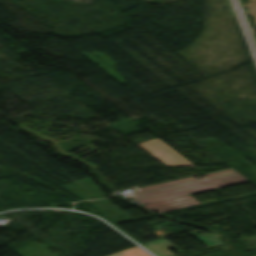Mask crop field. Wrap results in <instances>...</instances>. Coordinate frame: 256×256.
<instances>
[{
	"mask_svg": "<svg viewBox=\"0 0 256 256\" xmlns=\"http://www.w3.org/2000/svg\"><path fill=\"white\" fill-rule=\"evenodd\" d=\"M206 178L195 180L193 177L142 187L129 194L141 204L152 203L186 194L206 191L233 184L248 182L234 169L204 174Z\"/></svg>",
	"mask_w": 256,
	"mask_h": 256,
	"instance_id": "1",
	"label": "crop field"
},
{
	"mask_svg": "<svg viewBox=\"0 0 256 256\" xmlns=\"http://www.w3.org/2000/svg\"><path fill=\"white\" fill-rule=\"evenodd\" d=\"M141 148L156 158L165 166H188L193 165L175 150L170 148L160 139H152L145 142L137 143Z\"/></svg>",
	"mask_w": 256,
	"mask_h": 256,
	"instance_id": "2",
	"label": "crop field"
},
{
	"mask_svg": "<svg viewBox=\"0 0 256 256\" xmlns=\"http://www.w3.org/2000/svg\"><path fill=\"white\" fill-rule=\"evenodd\" d=\"M186 198H190L191 200L182 201V203H185V204L179 205L180 200L186 199ZM188 201H191V202H188ZM198 204L199 203L196 202L192 197H190L189 195H186L178 198H173V199H169L161 202L144 205L143 207L148 208L155 212H164V211L179 209V208L198 205Z\"/></svg>",
	"mask_w": 256,
	"mask_h": 256,
	"instance_id": "3",
	"label": "crop field"
},
{
	"mask_svg": "<svg viewBox=\"0 0 256 256\" xmlns=\"http://www.w3.org/2000/svg\"><path fill=\"white\" fill-rule=\"evenodd\" d=\"M220 235L211 233V234H201V235H193L192 237L199 240L204 245H212L216 243H221V241L218 239Z\"/></svg>",
	"mask_w": 256,
	"mask_h": 256,
	"instance_id": "4",
	"label": "crop field"
},
{
	"mask_svg": "<svg viewBox=\"0 0 256 256\" xmlns=\"http://www.w3.org/2000/svg\"><path fill=\"white\" fill-rule=\"evenodd\" d=\"M108 256H151L140 247L136 246Z\"/></svg>",
	"mask_w": 256,
	"mask_h": 256,
	"instance_id": "5",
	"label": "crop field"
},
{
	"mask_svg": "<svg viewBox=\"0 0 256 256\" xmlns=\"http://www.w3.org/2000/svg\"><path fill=\"white\" fill-rule=\"evenodd\" d=\"M254 256H256V255H254Z\"/></svg>",
	"mask_w": 256,
	"mask_h": 256,
	"instance_id": "6",
	"label": "crop field"
}]
</instances>
